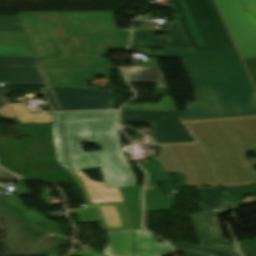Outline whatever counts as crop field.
<instances>
[{
    "label": "crop field",
    "mask_w": 256,
    "mask_h": 256,
    "mask_svg": "<svg viewBox=\"0 0 256 256\" xmlns=\"http://www.w3.org/2000/svg\"><path fill=\"white\" fill-rule=\"evenodd\" d=\"M156 56L183 57L198 101L187 104L185 121L256 114V96L237 52L154 50Z\"/></svg>",
    "instance_id": "8a807250"
},
{
    "label": "crop field",
    "mask_w": 256,
    "mask_h": 256,
    "mask_svg": "<svg viewBox=\"0 0 256 256\" xmlns=\"http://www.w3.org/2000/svg\"><path fill=\"white\" fill-rule=\"evenodd\" d=\"M58 160L69 172L61 113L52 114ZM117 112L63 113L70 166L76 171L101 168L106 188L135 186V178L121 153ZM96 141L102 151L82 153L80 143ZM84 161V164L81 161Z\"/></svg>",
    "instance_id": "ac0d7876"
},
{
    "label": "crop field",
    "mask_w": 256,
    "mask_h": 256,
    "mask_svg": "<svg viewBox=\"0 0 256 256\" xmlns=\"http://www.w3.org/2000/svg\"><path fill=\"white\" fill-rule=\"evenodd\" d=\"M186 123L207 149L222 186L256 185V159L245 158L256 151V115Z\"/></svg>",
    "instance_id": "34b2d1b8"
},
{
    "label": "crop field",
    "mask_w": 256,
    "mask_h": 256,
    "mask_svg": "<svg viewBox=\"0 0 256 256\" xmlns=\"http://www.w3.org/2000/svg\"><path fill=\"white\" fill-rule=\"evenodd\" d=\"M22 30L37 58H101L113 36H67L61 12L19 13ZM68 38V42H64Z\"/></svg>",
    "instance_id": "412701ff"
},
{
    "label": "crop field",
    "mask_w": 256,
    "mask_h": 256,
    "mask_svg": "<svg viewBox=\"0 0 256 256\" xmlns=\"http://www.w3.org/2000/svg\"><path fill=\"white\" fill-rule=\"evenodd\" d=\"M192 49L236 51L213 0H173Z\"/></svg>",
    "instance_id": "f4fd0767"
},
{
    "label": "crop field",
    "mask_w": 256,
    "mask_h": 256,
    "mask_svg": "<svg viewBox=\"0 0 256 256\" xmlns=\"http://www.w3.org/2000/svg\"><path fill=\"white\" fill-rule=\"evenodd\" d=\"M206 197L201 203L205 213L192 215L201 247L169 241L177 250L212 256H236L232 242H224L216 217L238 205L222 187H197Z\"/></svg>",
    "instance_id": "dd49c442"
},
{
    "label": "crop field",
    "mask_w": 256,
    "mask_h": 256,
    "mask_svg": "<svg viewBox=\"0 0 256 256\" xmlns=\"http://www.w3.org/2000/svg\"><path fill=\"white\" fill-rule=\"evenodd\" d=\"M158 157L167 172L190 173L192 186H221L219 176L201 143L161 145Z\"/></svg>",
    "instance_id": "e52e79f7"
},
{
    "label": "crop field",
    "mask_w": 256,
    "mask_h": 256,
    "mask_svg": "<svg viewBox=\"0 0 256 256\" xmlns=\"http://www.w3.org/2000/svg\"><path fill=\"white\" fill-rule=\"evenodd\" d=\"M229 31L244 59L256 57V0H216ZM244 2L249 14L241 5Z\"/></svg>",
    "instance_id": "d8731c3e"
},
{
    "label": "crop field",
    "mask_w": 256,
    "mask_h": 256,
    "mask_svg": "<svg viewBox=\"0 0 256 256\" xmlns=\"http://www.w3.org/2000/svg\"><path fill=\"white\" fill-rule=\"evenodd\" d=\"M63 111L113 109L112 91L52 88ZM51 111H61L50 88L41 89Z\"/></svg>",
    "instance_id": "5a996713"
},
{
    "label": "crop field",
    "mask_w": 256,
    "mask_h": 256,
    "mask_svg": "<svg viewBox=\"0 0 256 256\" xmlns=\"http://www.w3.org/2000/svg\"><path fill=\"white\" fill-rule=\"evenodd\" d=\"M125 122L153 123L157 144L195 141L177 111H121V126Z\"/></svg>",
    "instance_id": "3316defc"
},
{
    "label": "crop field",
    "mask_w": 256,
    "mask_h": 256,
    "mask_svg": "<svg viewBox=\"0 0 256 256\" xmlns=\"http://www.w3.org/2000/svg\"><path fill=\"white\" fill-rule=\"evenodd\" d=\"M62 14L68 35H114L111 46L128 45L130 29L116 30L113 12Z\"/></svg>",
    "instance_id": "28ad6ade"
},
{
    "label": "crop field",
    "mask_w": 256,
    "mask_h": 256,
    "mask_svg": "<svg viewBox=\"0 0 256 256\" xmlns=\"http://www.w3.org/2000/svg\"><path fill=\"white\" fill-rule=\"evenodd\" d=\"M83 192L86 205L84 210L69 211L77 214L82 223L99 222L103 230H132V226L122 203L92 204L89 195L75 173H70Z\"/></svg>",
    "instance_id": "d1516ede"
},
{
    "label": "crop field",
    "mask_w": 256,
    "mask_h": 256,
    "mask_svg": "<svg viewBox=\"0 0 256 256\" xmlns=\"http://www.w3.org/2000/svg\"><path fill=\"white\" fill-rule=\"evenodd\" d=\"M0 83H47L35 57H0ZM12 91L0 88V109Z\"/></svg>",
    "instance_id": "22f410ed"
},
{
    "label": "crop field",
    "mask_w": 256,
    "mask_h": 256,
    "mask_svg": "<svg viewBox=\"0 0 256 256\" xmlns=\"http://www.w3.org/2000/svg\"><path fill=\"white\" fill-rule=\"evenodd\" d=\"M52 87H88L87 82L95 76H110V69L120 67L99 66V67H63V66H42Z\"/></svg>",
    "instance_id": "cbeb9de0"
},
{
    "label": "crop field",
    "mask_w": 256,
    "mask_h": 256,
    "mask_svg": "<svg viewBox=\"0 0 256 256\" xmlns=\"http://www.w3.org/2000/svg\"><path fill=\"white\" fill-rule=\"evenodd\" d=\"M156 32L167 35L155 37ZM131 47L191 49L177 21L168 30L133 31Z\"/></svg>",
    "instance_id": "5142ce71"
},
{
    "label": "crop field",
    "mask_w": 256,
    "mask_h": 256,
    "mask_svg": "<svg viewBox=\"0 0 256 256\" xmlns=\"http://www.w3.org/2000/svg\"><path fill=\"white\" fill-rule=\"evenodd\" d=\"M0 56H33L22 33H0Z\"/></svg>",
    "instance_id": "d9b57169"
},
{
    "label": "crop field",
    "mask_w": 256,
    "mask_h": 256,
    "mask_svg": "<svg viewBox=\"0 0 256 256\" xmlns=\"http://www.w3.org/2000/svg\"><path fill=\"white\" fill-rule=\"evenodd\" d=\"M110 241L105 249L109 256H131L132 231H108Z\"/></svg>",
    "instance_id": "733c2abd"
},
{
    "label": "crop field",
    "mask_w": 256,
    "mask_h": 256,
    "mask_svg": "<svg viewBox=\"0 0 256 256\" xmlns=\"http://www.w3.org/2000/svg\"><path fill=\"white\" fill-rule=\"evenodd\" d=\"M143 187L120 188L135 230H142L141 193Z\"/></svg>",
    "instance_id": "4a817a6b"
},
{
    "label": "crop field",
    "mask_w": 256,
    "mask_h": 256,
    "mask_svg": "<svg viewBox=\"0 0 256 256\" xmlns=\"http://www.w3.org/2000/svg\"><path fill=\"white\" fill-rule=\"evenodd\" d=\"M86 183L88 192L94 203L122 201L117 188L105 189L104 184L91 181L83 173H77Z\"/></svg>",
    "instance_id": "bc2a9ffb"
},
{
    "label": "crop field",
    "mask_w": 256,
    "mask_h": 256,
    "mask_svg": "<svg viewBox=\"0 0 256 256\" xmlns=\"http://www.w3.org/2000/svg\"><path fill=\"white\" fill-rule=\"evenodd\" d=\"M124 73L130 82H157L158 87H166L158 67H131Z\"/></svg>",
    "instance_id": "214f88e0"
},
{
    "label": "crop field",
    "mask_w": 256,
    "mask_h": 256,
    "mask_svg": "<svg viewBox=\"0 0 256 256\" xmlns=\"http://www.w3.org/2000/svg\"><path fill=\"white\" fill-rule=\"evenodd\" d=\"M145 211H167L174 206V197H163L159 190H145L144 194Z\"/></svg>",
    "instance_id": "92a150f3"
},
{
    "label": "crop field",
    "mask_w": 256,
    "mask_h": 256,
    "mask_svg": "<svg viewBox=\"0 0 256 256\" xmlns=\"http://www.w3.org/2000/svg\"><path fill=\"white\" fill-rule=\"evenodd\" d=\"M16 116L20 122L29 124L35 123V118L37 115L28 112L23 102L8 104L0 110L1 118H11Z\"/></svg>",
    "instance_id": "dafd665d"
},
{
    "label": "crop field",
    "mask_w": 256,
    "mask_h": 256,
    "mask_svg": "<svg viewBox=\"0 0 256 256\" xmlns=\"http://www.w3.org/2000/svg\"><path fill=\"white\" fill-rule=\"evenodd\" d=\"M134 250H170L167 243H156L152 235L145 231H135Z\"/></svg>",
    "instance_id": "00972430"
},
{
    "label": "crop field",
    "mask_w": 256,
    "mask_h": 256,
    "mask_svg": "<svg viewBox=\"0 0 256 256\" xmlns=\"http://www.w3.org/2000/svg\"><path fill=\"white\" fill-rule=\"evenodd\" d=\"M141 167L148 173V183L146 187H154L157 180L169 179L158 157L152 158L150 165Z\"/></svg>",
    "instance_id": "a9b5d70f"
},
{
    "label": "crop field",
    "mask_w": 256,
    "mask_h": 256,
    "mask_svg": "<svg viewBox=\"0 0 256 256\" xmlns=\"http://www.w3.org/2000/svg\"><path fill=\"white\" fill-rule=\"evenodd\" d=\"M51 61H77V63H52ZM40 65H63V66H99L113 65L109 59L100 60H38Z\"/></svg>",
    "instance_id": "4177f3b9"
},
{
    "label": "crop field",
    "mask_w": 256,
    "mask_h": 256,
    "mask_svg": "<svg viewBox=\"0 0 256 256\" xmlns=\"http://www.w3.org/2000/svg\"><path fill=\"white\" fill-rule=\"evenodd\" d=\"M0 31H22L18 16L0 17Z\"/></svg>",
    "instance_id": "730fd06b"
},
{
    "label": "crop field",
    "mask_w": 256,
    "mask_h": 256,
    "mask_svg": "<svg viewBox=\"0 0 256 256\" xmlns=\"http://www.w3.org/2000/svg\"><path fill=\"white\" fill-rule=\"evenodd\" d=\"M243 256H256V240L238 243Z\"/></svg>",
    "instance_id": "eef30255"
},
{
    "label": "crop field",
    "mask_w": 256,
    "mask_h": 256,
    "mask_svg": "<svg viewBox=\"0 0 256 256\" xmlns=\"http://www.w3.org/2000/svg\"><path fill=\"white\" fill-rule=\"evenodd\" d=\"M247 69L251 75V78L256 86V59L244 61Z\"/></svg>",
    "instance_id": "ae1a2a85"
},
{
    "label": "crop field",
    "mask_w": 256,
    "mask_h": 256,
    "mask_svg": "<svg viewBox=\"0 0 256 256\" xmlns=\"http://www.w3.org/2000/svg\"><path fill=\"white\" fill-rule=\"evenodd\" d=\"M171 252H143V251H134V256H165L171 254Z\"/></svg>",
    "instance_id": "d3111659"
},
{
    "label": "crop field",
    "mask_w": 256,
    "mask_h": 256,
    "mask_svg": "<svg viewBox=\"0 0 256 256\" xmlns=\"http://www.w3.org/2000/svg\"><path fill=\"white\" fill-rule=\"evenodd\" d=\"M50 122H53L51 114L50 115L38 114L36 118V123H50Z\"/></svg>",
    "instance_id": "750c4746"
},
{
    "label": "crop field",
    "mask_w": 256,
    "mask_h": 256,
    "mask_svg": "<svg viewBox=\"0 0 256 256\" xmlns=\"http://www.w3.org/2000/svg\"><path fill=\"white\" fill-rule=\"evenodd\" d=\"M183 253H185L184 256H205V255H199V254H193V253H187V252H183Z\"/></svg>",
    "instance_id": "bd1437ed"
},
{
    "label": "crop field",
    "mask_w": 256,
    "mask_h": 256,
    "mask_svg": "<svg viewBox=\"0 0 256 256\" xmlns=\"http://www.w3.org/2000/svg\"><path fill=\"white\" fill-rule=\"evenodd\" d=\"M182 174H184L185 176H187V183H188L189 186H191V185H190L191 178H190L189 174H185V173H182Z\"/></svg>",
    "instance_id": "1d83c4d3"
},
{
    "label": "crop field",
    "mask_w": 256,
    "mask_h": 256,
    "mask_svg": "<svg viewBox=\"0 0 256 256\" xmlns=\"http://www.w3.org/2000/svg\"><path fill=\"white\" fill-rule=\"evenodd\" d=\"M127 68H129V67H124V69H127Z\"/></svg>",
    "instance_id": "120bbe31"
}]
</instances>
